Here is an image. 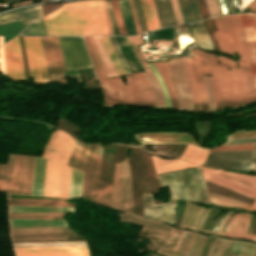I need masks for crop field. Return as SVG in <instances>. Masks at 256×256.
I'll use <instances>...</instances> for the list:
<instances>
[{
	"label": "crop field",
	"instance_id": "8a807250",
	"mask_svg": "<svg viewBox=\"0 0 256 256\" xmlns=\"http://www.w3.org/2000/svg\"><path fill=\"white\" fill-rule=\"evenodd\" d=\"M213 19L218 29L213 32L221 50L230 55L236 51L241 56L236 69L235 62L218 55L221 67L215 66L212 76L217 110L243 105L246 96L248 104L255 102L240 15Z\"/></svg>",
	"mask_w": 256,
	"mask_h": 256
},
{
	"label": "crop field",
	"instance_id": "ac0d7876",
	"mask_svg": "<svg viewBox=\"0 0 256 256\" xmlns=\"http://www.w3.org/2000/svg\"><path fill=\"white\" fill-rule=\"evenodd\" d=\"M160 186L169 185V203L153 205L151 194H143L144 216L172 224L177 199L208 203L204 180L199 168L156 174Z\"/></svg>",
	"mask_w": 256,
	"mask_h": 256
},
{
	"label": "crop field",
	"instance_id": "34b2d1b8",
	"mask_svg": "<svg viewBox=\"0 0 256 256\" xmlns=\"http://www.w3.org/2000/svg\"><path fill=\"white\" fill-rule=\"evenodd\" d=\"M44 19L48 36L107 34L101 0L64 3Z\"/></svg>",
	"mask_w": 256,
	"mask_h": 256
},
{
	"label": "crop field",
	"instance_id": "412701ff",
	"mask_svg": "<svg viewBox=\"0 0 256 256\" xmlns=\"http://www.w3.org/2000/svg\"><path fill=\"white\" fill-rule=\"evenodd\" d=\"M94 65L102 95L103 105H135L155 107L152 91L143 73L126 75L127 86L120 77L102 79L98 64L87 37H84Z\"/></svg>",
	"mask_w": 256,
	"mask_h": 256
},
{
	"label": "crop field",
	"instance_id": "f4fd0767",
	"mask_svg": "<svg viewBox=\"0 0 256 256\" xmlns=\"http://www.w3.org/2000/svg\"><path fill=\"white\" fill-rule=\"evenodd\" d=\"M74 139L56 130L44 150L43 158L47 159L43 195L69 197V173L67 161Z\"/></svg>",
	"mask_w": 256,
	"mask_h": 256
},
{
	"label": "crop field",
	"instance_id": "dd49c442",
	"mask_svg": "<svg viewBox=\"0 0 256 256\" xmlns=\"http://www.w3.org/2000/svg\"><path fill=\"white\" fill-rule=\"evenodd\" d=\"M120 217H121V221L133 222V223L169 231L171 233L174 230V228L164 225L162 223L144 220L135 215H131V214H127V213L120 214ZM145 226L143 228L142 233L148 234V236H144V235L140 234L141 236L149 238L152 241V243H154L155 245H157L159 247L169 248V249H173V250H175L177 248L178 242L181 238L180 235H183V233H184V231H182V230H177L174 234H180V235H174L169 232H165V231H161V230H157V229H153V228H149V227H145ZM205 239H206V237L196 233L189 254L175 252V251H171V250H167V249H163V248H159L156 252L165 254L167 256H200L201 249L203 247ZM219 242H220V244H219ZM229 242L230 241H228V240H224V239L217 237L216 240L214 241V243L210 246L208 256L213 255V252H214L215 248L218 246V244H219V246H218L214 256H222L226 247L228 246ZM233 242L234 241H232L229 248L227 247L228 250L225 252L224 256H226L227 252L230 250Z\"/></svg>",
	"mask_w": 256,
	"mask_h": 256
},
{
	"label": "crop field",
	"instance_id": "e52e79f7",
	"mask_svg": "<svg viewBox=\"0 0 256 256\" xmlns=\"http://www.w3.org/2000/svg\"><path fill=\"white\" fill-rule=\"evenodd\" d=\"M101 150V144L75 142L67 165L83 171L80 196L109 206L112 186L97 179Z\"/></svg>",
	"mask_w": 256,
	"mask_h": 256
},
{
	"label": "crop field",
	"instance_id": "d8731c3e",
	"mask_svg": "<svg viewBox=\"0 0 256 256\" xmlns=\"http://www.w3.org/2000/svg\"><path fill=\"white\" fill-rule=\"evenodd\" d=\"M42 16L40 5L0 14V36H3L4 43L18 35L29 23Z\"/></svg>",
	"mask_w": 256,
	"mask_h": 256
},
{
	"label": "crop field",
	"instance_id": "5a996713",
	"mask_svg": "<svg viewBox=\"0 0 256 256\" xmlns=\"http://www.w3.org/2000/svg\"><path fill=\"white\" fill-rule=\"evenodd\" d=\"M67 76L77 77L81 81L77 69L91 67L81 37H58Z\"/></svg>",
	"mask_w": 256,
	"mask_h": 256
},
{
	"label": "crop field",
	"instance_id": "3316defc",
	"mask_svg": "<svg viewBox=\"0 0 256 256\" xmlns=\"http://www.w3.org/2000/svg\"><path fill=\"white\" fill-rule=\"evenodd\" d=\"M200 168L204 171L202 172L204 179L256 199V176L224 172L221 170L208 169L204 167ZM221 175L231 177L235 180L252 185L254 187L225 178ZM251 210L256 211V200L253 203Z\"/></svg>",
	"mask_w": 256,
	"mask_h": 256
},
{
	"label": "crop field",
	"instance_id": "28ad6ade",
	"mask_svg": "<svg viewBox=\"0 0 256 256\" xmlns=\"http://www.w3.org/2000/svg\"><path fill=\"white\" fill-rule=\"evenodd\" d=\"M256 158L253 150L209 152L203 165L239 171L253 170Z\"/></svg>",
	"mask_w": 256,
	"mask_h": 256
},
{
	"label": "crop field",
	"instance_id": "d1516ede",
	"mask_svg": "<svg viewBox=\"0 0 256 256\" xmlns=\"http://www.w3.org/2000/svg\"><path fill=\"white\" fill-rule=\"evenodd\" d=\"M30 76L34 83L42 84L49 82L46 68V59L39 37H22Z\"/></svg>",
	"mask_w": 256,
	"mask_h": 256
},
{
	"label": "crop field",
	"instance_id": "22f410ed",
	"mask_svg": "<svg viewBox=\"0 0 256 256\" xmlns=\"http://www.w3.org/2000/svg\"><path fill=\"white\" fill-rule=\"evenodd\" d=\"M169 62L167 64L174 81L178 108L192 110V97L184 62L182 58L170 59Z\"/></svg>",
	"mask_w": 256,
	"mask_h": 256
},
{
	"label": "crop field",
	"instance_id": "cbeb9de0",
	"mask_svg": "<svg viewBox=\"0 0 256 256\" xmlns=\"http://www.w3.org/2000/svg\"><path fill=\"white\" fill-rule=\"evenodd\" d=\"M192 51L194 59L188 60L199 91L202 110H208L206 95L202 84V80H204L202 74H212V65H219L218 59L215 55L212 54L204 53L194 49H192Z\"/></svg>",
	"mask_w": 256,
	"mask_h": 256
},
{
	"label": "crop field",
	"instance_id": "5142ce71",
	"mask_svg": "<svg viewBox=\"0 0 256 256\" xmlns=\"http://www.w3.org/2000/svg\"><path fill=\"white\" fill-rule=\"evenodd\" d=\"M46 54L50 82H65L63 60L57 37H40Z\"/></svg>",
	"mask_w": 256,
	"mask_h": 256
},
{
	"label": "crop field",
	"instance_id": "d9b57169",
	"mask_svg": "<svg viewBox=\"0 0 256 256\" xmlns=\"http://www.w3.org/2000/svg\"><path fill=\"white\" fill-rule=\"evenodd\" d=\"M6 76L14 81H25L22 55L17 37L4 45Z\"/></svg>",
	"mask_w": 256,
	"mask_h": 256
},
{
	"label": "crop field",
	"instance_id": "733c2abd",
	"mask_svg": "<svg viewBox=\"0 0 256 256\" xmlns=\"http://www.w3.org/2000/svg\"><path fill=\"white\" fill-rule=\"evenodd\" d=\"M256 99V14H241Z\"/></svg>",
	"mask_w": 256,
	"mask_h": 256
},
{
	"label": "crop field",
	"instance_id": "4a817a6b",
	"mask_svg": "<svg viewBox=\"0 0 256 256\" xmlns=\"http://www.w3.org/2000/svg\"><path fill=\"white\" fill-rule=\"evenodd\" d=\"M16 256H89L87 247L14 249Z\"/></svg>",
	"mask_w": 256,
	"mask_h": 256
},
{
	"label": "crop field",
	"instance_id": "bc2a9ffb",
	"mask_svg": "<svg viewBox=\"0 0 256 256\" xmlns=\"http://www.w3.org/2000/svg\"><path fill=\"white\" fill-rule=\"evenodd\" d=\"M234 212V211H233ZM232 212V213H233ZM230 213L225 220L232 214ZM251 214H242V213H237L234 215V217L230 220L228 223L227 229L225 232H220L222 225L224 224L225 220L221 224V227L218 231V235L226 236V237H231V238H247L251 239L252 237L256 236H251V235H246L249 219H250ZM204 233H212V232H204Z\"/></svg>",
	"mask_w": 256,
	"mask_h": 256
},
{
	"label": "crop field",
	"instance_id": "214f88e0",
	"mask_svg": "<svg viewBox=\"0 0 256 256\" xmlns=\"http://www.w3.org/2000/svg\"><path fill=\"white\" fill-rule=\"evenodd\" d=\"M35 157L23 156L16 194L31 195Z\"/></svg>",
	"mask_w": 256,
	"mask_h": 256
},
{
	"label": "crop field",
	"instance_id": "92a150f3",
	"mask_svg": "<svg viewBox=\"0 0 256 256\" xmlns=\"http://www.w3.org/2000/svg\"><path fill=\"white\" fill-rule=\"evenodd\" d=\"M74 205V203H70L68 200L8 198V206L74 207Z\"/></svg>",
	"mask_w": 256,
	"mask_h": 256
},
{
	"label": "crop field",
	"instance_id": "dafd665d",
	"mask_svg": "<svg viewBox=\"0 0 256 256\" xmlns=\"http://www.w3.org/2000/svg\"><path fill=\"white\" fill-rule=\"evenodd\" d=\"M204 211V208L186 202L180 225L189 228H197Z\"/></svg>",
	"mask_w": 256,
	"mask_h": 256
},
{
	"label": "crop field",
	"instance_id": "00972430",
	"mask_svg": "<svg viewBox=\"0 0 256 256\" xmlns=\"http://www.w3.org/2000/svg\"><path fill=\"white\" fill-rule=\"evenodd\" d=\"M157 16L159 19L160 27H166L174 25L175 19L172 12L171 4L169 0H153Z\"/></svg>",
	"mask_w": 256,
	"mask_h": 256
},
{
	"label": "crop field",
	"instance_id": "a9b5d70f",
	"mask_svg": "<svg viewBox=\"0 0 256 256\" xmlns=\"http://www.w3.org/2000/svg\"><path fill=\"white\" fill-rule=\"evenodd\" d=\"M116 37V36H115ZM119 47L128 63L132 73L143 71L140 63L138 62L127 37H116Z\"/></svg>",
	"mask_w": 256,
	"mask_h": 256
},
{
	"label": "crop field",
	"instance_id": "4177f3b9",
	"mask_svg": "<svg viewBox=\"0 0 256 256\" xmlns=\"http://www.w3.org/2000/svg\"><path fill=\"white\" fill-rule=\"evenodd\" d=\"M151 157L153 160V164H154L156 173L198 166V165H193L189 162H184V161L178 160V159L163 160V159H159L154 156H151Z\"/></svg>",
	"mask_w": 256,
	"mask_h": 256
},
{
	"label": "crop field",
	"instance_id": "730fd06b",
	"mask_svg": "<svg viewBox=\"0 0 256 256\" xmlns=\"http://www.w3.org/2000/svg\"><path fill=\"white\" fill-rule=\"evenodd\" d=\"M160 76L163 78L167 87L168 96L170 100V108H177V98L175 97L174 88L170 79L167 64L164 62L153 63Z\"/></svg>",
	"mask_w": 256,
	"mask_h": 256
},
{
	"label": "crop field",
	"instance_id": "eef30255",
	"mask_svg": "<svg viewBox=\"0 0 256 256\" xmlns=\"http://www.w3.org/2000/svg\"><path fill=\"white\" fill-rule=\"evenodd\" d=\"M146 65L150 71L143 72V73H144L145 77L147 78V80L151 86V89L153 91L155 104H156V106L166 107V102H165L164 91H163L162 85L159 82V80L156 78V76L154 75V73L152 72V70L150 69L148 64H146Z\"/></svg>",
	"mask_w": 256,
	"mask_h": 256
},
{
	"label": "crop field",
	"instance_id": "ae1a2a85",
	"mask_svg": "<svg viewBox=\"0 0 256 256\" xmlns=\"http://www.w3.org/2000/svg\"><path fill=\"white\" fill-rule=\"evenodd\" d=\"M148 31L159 29L156 12L152 0H140Z\"/></svg>",
	"mask_w": 256,
	"mask_h": 256
},
{
	"label": "crop field",
	"instance_id": "d3111659",
	"mask_svg": "<svg viewBox=\"0 0 256 256\" xmlns=\"http://www.w3.org/2000/svg\"><path fill=\"white\" fill-rule=\"evenodd\" d=\"M15 155H9L7 165H0V191H9Z\"/></svg>",
	"mask_w": 256,
	"mask_h": 256
},
{
	"label": "crop field",
	"instance_id": "750c4746",
	"mask_svg": "<svg viewBox=\"0 0 256 256\" xmlns=\"http://www.w3.org/2000/svg\"><path fill=\"white\" fill-rule=\"evenodd\" d=\"M178 1L184 23L201 19L195 0Z\"/></svg>",
	"mask_w": 256,
	"mask_h": 256
},
{
	"label": "crop field",
	"instance_id": "bd1437ed",
	"mask_svg": "<svg viewBox=\"0 0 256 256\" xmlns=\"http://www.w3.org/2000/svg\"><path fill=\"white\" fill-rule=\"evenodd\" d=\"M10 227L67 226L64 220H9Z\"/></svg>",
	"mask_w": 256,
	"mask_h": 256
},
{
	"label": "crop field",
	"instance_id": "1d83c4d3",
	"mask_svg": "<svg viewBox=\"0 0 256 256\" xmlns=\"http://www.w3.org/2000/svg\"><path fill=\"white\" fill-rule=\"evenodd\" d=\"M45 159L36 158L32 195H42Z\"/></svg>",
	"mask_w": 256,
	"mask_h": 256
},
{
	"label": "crop field",
	"instance_id": "120bbe31",
	"mask_svg": "<svg viewBox=\"0 0 256 256\" xmlns=\"http://www.w3.org/2000/svg\"><path fill=\"white\" fill-rule=\"evenodd\" d=\"M191 26V29L194 33V36L199 44L200 47L202 48H208V49H213V45L209 39V36L202 24L201 21L195 22V23H189Z\"/></svg>",
	"mask_w": 256,
	"mask_h": 256
},
{
	"label": "crop field",
	"instance_id": "d32e631a",
	"mask_svg": "<svg viewBox=\"0 0 256 256\" xmlns=\"http://www.w3.org/2000/svg\"><path fill=\"white\" fill-rule=\"evenodd\" d=\"M208 149H200L187 145L185 151L183 152L181 159H185L189 162H194L201 164L207 157Z\"/></svg>",
	"mask_w": 256,
	"mask_h": 256
},
{
	"label": "crop field",
	"instance_id": "5866460e",
	"mask_svg": "<svg viewBox=\"0 0 256 256\" xmlns=\"http://www.w3.org/2000/svg\"><path fill=\"white\" fill-rule=\"evenodd\" d=\"M118 5L123 23L128 35L136 34L127 0H118Z\"/></svg>",
	"mask_w": 256,
	"mask_h": 256
},
{
	"label": "crop field",
	"instance_id": "028f5c9d",
	"mask_svg": "<svg viewBox=\"0 0 256 256\" xmlns=\"http://www.w3.org/2000/svg\"><path fill=\"white\" fill-rule=\"evenodd\" d=\"M208 194H209L210 202L212 204L224 205V206H229V207H239V208L248 209V210L251 207V205L247 204V203H243V202L233 200L230 198L217 196V195L210 194V193H208Z\"/></svg>",
	"mask_w": 256,
	"mask_h": 256
},
{
	"label": "crop field",
	"instance_id": "e1f06a70",
	"mask_svg": "<svg viewBox=\"0 0 256 256\" xmlns=\"http://www.w3.org/2000/svg\"><path fill=\"white\" fill-rule=\"evenodd\" d=\"M74 212V208L55 207H8V212Z\"/></svg>",
	"mask_w": 256,
	"mask_h": 256
},
{
	"label": "crop field",
	"instance_id": "0bd39190",
	"mask_svg": "<svg viewBox=\"0 0 256 256\" xmlns=\"http://www.w3.org/2000/svg\"><path fill=\"white\" fill-rule=\"evenodd\" d=\"M14 247L88 246L86 242L13 243Z\"/></svg>",
	"mask_w": 256,
	"mask_h": 256
},
{
	"label": "crop field",
	"instance_id": "b80d0937",
	"mask_svg": "<svg viewBox=\"0 0 256 256\" xmlns=\"http://www.w3.org/2000/svg\"><path fill=\"white\" fill-rule=\"evenodd\" d=\"M82 172L71 168L70 197L79 196Z\"/></svg>",
	"mask_w": 256,
	"mask_h": 256
},
{
	"label": "crop field",
	"instance_id": "c035e120",
	"mask_svg": "<svg viewBox=\"0 0 256 256\" xmlns=\"http://www.w3.org/2000/svg\"><path fill=\"white\" fill-rule=\"evenodd\" d=\"M183 59H184L185 65H186V69H187V73H188V77H189V81H190V85H191L192 97H193V109L201 110L199 95H198L197 88H196V85H195L193 77H192V73H191V69H190L188 60H187V58H183Z\"/></svg>",
	"mask_w": 256,
	"mask_h": 256
},
{
	"label": "crop field",
	"instance_id": "c21b1889",
	"mask_svg": "<svg viewBox=\"0 0 256 256\" xmlns=\"http://www.w3.org/2000/svg\"><path fill=\"white\" fill-rule=\"evenodd\" d=\"M23 35H46L45 25L43 18L33 22L23 32Z\"/></svg>",
	"mask_w": 256,
	"mask_h": 256
},
{
	"label": "crop field",
	"instance_id": "03da06ac",
	"mask_svg": "<svg viewBox=\"0 0 256 256\" xmlns=\"http://www.w3.org/2000/svg\"><path fill=\"white\" fill-rule=\"evenodd\" d=\"M204 79H205V81H203V83H204V89H205L206 95H207L208 107H209L210 111H213V110H216V108H215L211 78H210V76H204Z\"/></svg>",
	"mask_w": 256,
	"mask_h": 256
},
{
	"label": "crop field",
	"instance_id": "b54c1fbb",
	"mask_svg": "<svg viewBox=\"0 0 256 256\" xmlns=\"http://www.w3.org/2000/svg\"><path fill=\"white\" fill-rule=\"evenodd\" d=\"M152 34H149L150 40H156V39H168V40H174V31L173 28H165L161 30L152 31Z\"/></svg>",
	"mask_w": 256,
	"mask_h": 256
},
{
	"label": "crop field",
	"instance_id": "5d738f31",
	"mask_svg": "<svg viewBox=\"0 0 256 256\" xmlns=\"http://www.w3.org/2000/svg\"><path fill=\"white\" fill-rule=\"evenodd\" d=\"M101 37H102V39L104 41L106 50H107V52L109 54V57H110L111 61L114 64L117 72L119 73V75H123L124 72H123V70H122V68H121V66H120V64H119V62H118V60H117V58L115 56V53H114V51H113V49L111 47V44H110V41H109L108 37L107 36H101Z\"/></svg>",
	"mask_w": 256,
	"mask_h": 256
},
{
	"label": "crop field",
	"instance_id": "d23c7cc5",
	"mask_svg": "<svg viewBox=\"0 0 256 256\" xmlns=\"http://www.w3.org/2000/svg\"><path fill=\"white\" fill-rule=\"evenodd\" d=\"M21 159H22V156L16 155L12 184H11L9 193L15 194V192H16V187H17V182H18V177H19V172H20V166H21Z\"/></svg>",
	"mask_w": 256,
	"mask_h": 256
},
{
	"label": "crop field",
	"instance_id": "425ffa30",
	"mask_svg": "<svg viewBox=\"0 0 256 256\" xmlns=\"http://www.w3.org/2000/svg\"><path fill=\"white\" fill-rule=\"evenodd\" d=\"M110 3H111L113 14H114V17H115V20H116L117 27H118V30H119V34L120 35H127L126 31H125V28L123 26L121 17H120L118 5H117V0H110Z\"/></svg>",
	"mask_w": 256,
	"mask_h": 256
},
{
	"label": "crop field",
	"instance_id": "25e5ab78",
	"mask_svg": "<svg viewBox=\"0 0 256 256\" xmlns=\"http://www.w3.org/2000/svg\"><path fill=\"white\" fill-rule=\"evenodd\" d=\"M9 219H64L59 215H9Z\"/></svg>",
	"mask_w": 256,
	"mask_h": 256
},
{
	"label": "crop field",
	"instance_id": "73cf0c24",
	"mask_svg": "<svg viewBox=\"0 0 256 256\" xmlns=\"http://www.w3.org/2000/svg\"><path fill=\"white\" fill-rule=\"evenodd\" d=\"M108 37H109V39L111 41L112 47H113V49H114V51H115V53H116V55H117L121 65H122L125 73L126 74L131 73L129 68H128V66H127V64H126V62H125V60H124V58H123V56H122V54H121V52H120V49L118 47V44L116 42L115 37L114 36H108Z\"/></svg>",
	"mask_w": 256,
	"mask_h": 256
},
{
	"label": "crop field",
	"instance_id": "89e229c0",
	"mask_svg": "<svg viewBox=\"0 0 256 256\" xmlns=\"http://www.w3.org/2000/svg\"><path fill=\"white\" fill-rule=\"evenodd\" d=\"M194 234L195 233H193V232L186 231L184 236H183L184 238L182 240V245H181V242H180L179 245H178L177 251L179 250V247L181 245V248H180L179 251L188 253L189 249H190V246H191V243H192V240H193V237H194Z\"/></svg>",
	"mask_w": 256,
	"mask_h": 256
},
{
	"label": "crop field",
	"instance_id": "1f2cbd36",
	"mask_svg": "<svg viewBox=\"0 0 256 256\" xmlns=\"http://www.w3.org/2000/svg\"><path fill=\"white\" fill-rule=\"evenodd\" d=\"M242 149H253V143H250V144L227 145V146H218V147L212 148L210 151L242 150Z\"/></svg>",
	"mask_w": 256,
	"mask_h": 256
},
{
	"label": "crop field",
	"instance_id": "dbb93151",
	"mask_svg": "<svg viewBox=\"0 0 256 256\" xmlns=\"http://www.w3.org/2000/svg\"><path fill=\"white\" fill-rule=\"evenodd\" d=\"M212 210H213V209L210 210V212H209V214L207 215V217H206V219H205V221H204V223H203V225H202V227H201L200 230H202V228H203V226H204L206 220L208 219V217H209V215H210V213H211ZM217 212H218V210L214 209V210L212 211V213H211V215H210L209 218H212ZM221 216H222V215H221ZM221 216L215 218V220L213 221L212 224H211L212 221H209V220H208L207 223H206V225H205V227H204V229H203V231H208L210 224H211V227H210L209 231H211L212 228H213V226H214V224L220 219Z\"/></svg>",
	"mask_w": 256,
	"mask_h": 256
},
{
	"label": "crop field",
	"instance_id": "0fb4a251",
	"mask_svg": "<svg viewBox=\"0 0 256 256\" xmlns=\"http://www.w3.org/2000/svg\"><path fill=\"white\" fill-rule=\"evenodd\" d=\"M212 17L219 16L221 14L217 0H207Z\"/></svg>",
	"mask_w": 256,
	"mask_h": 256
},
{
	"label": "crop field",
	"instance_id": "1d79db26",
	"mask_svg": "<svg viewBox=\"0 0 256 256\" xmlns=\"http://www.w3.org/2000/svg\"><path fill=\"white\" fill-rule=\"evenodd\" d=\"M255 245L256 244H249L245 242L244 247L240 252L239 256H253Z\"/></svg>",
	"mask_w": 256,
	"mask_h": 256
},
{
	"label": "crop field",
	"instance_id": "9d1cf04e",
	"mask_svg": "<svg viewBox=\"0 0 256 256\" xmlns=\"http://www.w3.org/2000/svg\"><path fill=\"white\" fill-rule=\"evenodd\" d=\"M88 38H89V40H90L91 46H92V48H93L94 54H95L96 59H97V62H98V64H99L102 77L105 78V77H107V76H106V73H105V71H104L103 65H102L101 60H100V57H99V55H98V52H97V50H96L95 44H94V42H93V39H92L91 36H89Z\"/></svg>",
	"mask_w": 256,
	"mask_h": 256
},
{
	"label": "crop field",
	"instance_id": "447ae74e",
	"mask_svg": "<svg viewBox=\"0 0 256 256\" xmlns=\"http://www.w3.org/2000/svg\"><path fill=\"white\" fill-rule=\"evenodd\" d=\"M170 1L172 4L174 15H175L176 23L177 24L183 23L177 0H170Z\"/></svg>",
	"mask_w": 256,
	"mask_h": 256
},
{
	"label": "crop field",
	"instance_id": "0765c3eb",
	"mask_svg": "<svg viewBox=\"0 0 256 256\" xmlns=\"http://www.w3.org/2000/svg\"><path fill=\"white\" fill-rule=\"evenodd\" d=\"M133 3H134L135 10H136V14H137L140 30H141V32H143V31H145V29H144V25H143L141 13H140V8H139L138 0H133Z\"/></svg>",
	"mask_w": 256,
	"mask_h": 256
},
{
	"label": "crop field",
	"instance_id": "db79e9e6",
	"mask_svg": "<svg viewBox=\"0 0 256 256\" xmlns=\"http://www.w3.org/2000/svg\"><path fill=\"white\" fill-rule=\"evenodd\" d=\"M128 3H129V7H130L131 14H132V17H133L136 33L138 34V33H140V30H139V26H138V22H137V18H136V14H135V10H134V7H133L132 0H128Z\"/></svg>",
	"mask_w": 256,
	"mask_h": 256
},
{
	"label": "crop field",
	"instance_id": "7b73153f",
	"mask_svg": "<svg viewBox=\"0 0 256 256\" xmlns=\"http://www.w3.org/2000/svg\"><path fill=\"white\" fill-rule=\"evenodd\" d=\"M249 142H254L255 146V157H256V139H231L228 143L226 144H235V143H249Z\"/></svg>",
	"mask_w": 256,
	"mask_h": 256
},
{
	"label": "crop field",
	"instance_id": "78b8030e",
	"mask_svg": "<svg viewBox=\"0 0 256 256\" xmlns=\"http://www.w3.org/2000/svg\"><path fill=\"white\" fill-rule=\"evenodd\" d=\"M103 6H104V10H105V16H106V23H107V31H108V34H113V32H112V27H111V23H110V18H109V14H108V10H107V7H106L105 0H103Z\"/></svg>",
	"mask_w": 256,
	"mask_h": 256
},
{
	"label": "crop field",
	"instance_id": "0f1d7ab4",
	"mask_svg": "<svg viewBox=\"0 0 256 256\" xmlns=\"http://www.w3.org/2000/svg\"><path fill=\"white\" fill-rule=\"evenodd\" d=\"M106 3H107V6H108L110 18H111V23H112V27H113V32H114V34L119 35V34H118V31H117V27H116L115 21H114V17H113L112 11H111V7H110L109 0H106Z\"/></svg>",
	"mask_w": 256,
	"mask_h": 256
},
{
	"label": "crop field",
	"instance_id": "e1d0b9f6",
	"mask_svg": "<svg viewBox=\"0 0 256 256\" xmlns=\"http://www.w3.org/2000/svg\"><path fill=\"white\" fill-rule=\"evenodd\" d=\"M149 66L151 67V69L153 70V72L155 73V75L158 77V79L161 81L164 91H165V97H166V102H167V107L169 108V100H168V96H167V92H166V87L162 81V79L160 78L159 74L157 73L156 69L154 68V66L152 65V63H149Z\"/></svg>",
	"mask_w": 256,
	"mask_h": 256
},
{
	"label": "crop field",
	"instance_id": "ae633e8c",
	"mask_svg": "<svg viewBox=\"0 0 256 256\" xmlns=\"http://www.w3.org/2000/svg\"><path fill=\"white\" fill-rule=\"evenodd\" d=\"M214 239H215V237H208L207 240H206V243L204 245V249L203 250L208 251L209 246L213 242ZM207 253L208 252L202 251V255L201 256H207Z\"/></svg>",
	"mask_w": 256,
	"mask_h": 256
},
{
	"label": "crop field",
	"instance_id": "d14b1444",
	"mask_svg": "<svg viewBox=\"0 0 256 256\" xmlns=\"http://www.w3.org/2000/svg\"><path fill=\"white\" fill-rule=\"evenodd\" d=\"M0 72L5 74L3 46L0 47Z\"/></svg>",
	"mask_w": 256,
	"mask_h": 256
},
{
	"label": "crop field",
	"instance_id": "c39391a2",
	"mask_svg": "<svg viewBox=\"0 0 256 256\" xmlns=\"http://www.w3.org/2000/svg\"><path fill=\"white\" fill-rule=\"evenodd\" d=\"M248 10L250 12H256V1L249 3Z\"/></svg>",
	"mask_w": 256,
	"mask_h": 256
},
{
	"label": "crop field",
	"instance_id": "ade564c9",
	"mask_svg": "<svg viewBox=\"0 0 256 256\" xmlns=\"http://www.w3.org/2000/svg\"><path fill=\"white\" fill-rule=\"evenodd\" d=\"M229 212H230V211H229ZM229 212H228V213H229ZM228 213H227V214H228ZM227 214H225L224 216L221 217V219L216 223V225L214 226V228H213L212 231H218L219 226H220L222 220L225 218V216H226Z\"/></svg>",
	"mask_w": 256,
	"mask_h": 256
},
{
	"label": "crop field",
	"instance_id": "c5b07064",
	"mask_svg": "<svg viewBox=\"0 0 256 256\" xmlns=\"http://www.w3.org/2000/svg\"><path fill=\"white\" fill-rule=\"evenodd\" d=\"M254 218H255V215L253 214L252 218H251V221H250L249 229H248V233H250V234H251V231H252V226H253Z\"/></svg>",
	"mask_w": 256,
	"mask_h": 256
},
{
	"label": "crop field",
	"instance_id": "c3a83c6f",
	"mask_svg": "<svg viewBox=\"0 0 256 256\" xmlns=\"http://www.w3.org/2000/svg\"><path fill=\"white\" fill-rule=\"evenodd\" d=\"M229 210H219V212L212 218V219H209V220H213L215 217L221 215V214H225L227 213Z\"/></svg>",
	"mask_w": 256,
	"mask_h": 256
},
{
	"label": "crop field",
	"instance_id": "fb207236",
	"mask_svg": "<svg viewBox=\"0 0 256 256\" xmlns=\"http://www.w3.org/2000/svg\"><path fill=\"white\" fill-rule=\"evenodd\" d=\"M239 243H240V242H238V245H239ZM243 243H244V242H241V244H240L241 247H240L239 251L237 252L236 256H238L239 252L241 251V249H242V247H243ZM238 245H237V247H238ZM237 249H238V248H237ZM235 250H236V249H235ZM235 252H236V251H235ZM233 253H234V252H233Z\"/></svg>",
	"mask_w": 256,
	"mask_h": 256
},
{
	"label": "crop field",
	"instance_id": "7312dd0a",
	"mask_svg": "<svg viewBox=\"0 0 256 256\" xmlns=\"http://www.w3.org/2000/svg\"><path fill=\"white\" fill-rule=\"evenodd\" d=\"M3 45L2 37H0V46Z\"/></svg>",
	"mask_w": 256,
	"mask_h": 256
},
{
	"label": "crop field",
	"instance_id": "180be81f",
	"mask_svg": "<svg viewBox=\"0 0 256 256\" xmlns=\"http://www.w3.org/2000/svg\"><path fill=\"white\" fill-rule=\"evenodd\" d=\"M236 242H237V241H236ZM234 243H235V242H234ZM235 245H236V243H235ZM233 246H234V245H233ZM234 248H235V246L233 247V249L231 248V249H232L231 252L234 250ZM231 252H230V253H231Z\"/></svg>",
	"mask_w": 256,
	"mask_h": 256
},
{
	"label": "crop field",
	"instance_id": "f0312440",
	"mask_svg": "<svg viewBox=\"0 0 256 256\" xmlns=\"http://www.w3.org/2000/svg\"><path fill=\"white\" fill-rule=\"evenodd\" d=\"M206 211H207V209H206ZM206 211H205V212H206ZM204 214H205V213H204ZM203 217H204V215H203ZM203 217H202V219H203ZM202 219H201V221H202ZM201 221H200V223H201ZM199 225H200V224H199ZM198 227H199V226H198ZM197 229H198V228H197Z\"/></svg>",
	"mask_w": 256,
	"mask_h": 256
},
{
	"label": "crop field",
	"instance_id": "1f1604b0",
	"mask_svg": "<svg viewBox=\"0 0 256 256\" xmlns=\"http://www.w3.org/2000/svg\"><path fill=\"white\" fill-rule=\"evenodd\" d=\"M208 211H209V209H208ZM208 211H207V213H208ZM207 213H206V215H207ZM206 215H205V217H206ZM205 217H204V219H205ZM204 219H203V221H204ZM200 229V228H199Z\"/></svg>",
	"mask_w": 256,
	"mask_h": 256
},
{
	"label": "crop field",
	"instance_id": "819c52e7",
	"mask_svg": "<svg viewBox=\"0 0 256 256\" xmlns=\"http://www.w3.org/2000/svg\"><path fill=\"white\" fill-rule=\"evenodd\" d=\"M252 240L256 241V238H252Z\"/></svg>",
	"mask_w": 256,
	"mask_h": 256
},
{
	"label": "crop field",
	"instance_id": "c821d689",
	"mask_svg": "<svg viewBox=\"0 0 256 256\" xmlns=\"http://www.w3.org/2000/svg\"><path fill=\"white\" fill-rule=\"evenodd\" d=\"M254 256H256V249H255V253H254Z\"/></svg>",
	"mask_w": 256,
	"mask_h": 256
},
{
	"label": "crop field",
	"instance_id": "a0ae1fb6",
	"mask_svg": "<svg viewBox=\"0 0 256 256\" xmlns=\"http://www.w3.org/2000/svg\"><path fill=\"white\" fill-rule=\"evenodd\" d=\"M255 171H256V164H255Z\"/></svg>",
	"mask_w": 256,
	"mask_h": 256
}]
</instances>
